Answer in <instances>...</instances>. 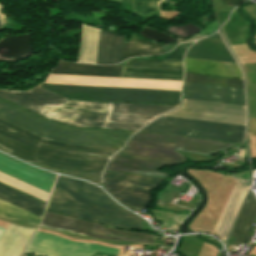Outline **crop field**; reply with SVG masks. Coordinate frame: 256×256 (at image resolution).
<instances>
[{"label": "crop field", "instance_id": "obj_1", "mask_svg": "<svg viewBox=\"0 0 256 256\" xmlns=\"http://www.w3.org/2000/svg\"><path fill=\"white\" fill-rule=\"evenodd\" d=\"M10 101L50 120L83 128L139 130L170 106L70 101L40 86L28 91H0Z\"/></svg>", "mask_w": 256, "mask_h": 256}, {"label": "crop field", "instance_id": "obj_2", "mask_svg": "<svg viewBox=\"0 0 256 256\" xmlns=\"http://www.w3.org/2000/svg\"><path fill=\"white\" fill-rule=\"evenodd\" d=\"M119 149L71 146L41 138L0 120V150L95 183H101L105 164Z\"/></svg>", "mask_w": 256, "mask_h": 256}, {"label": "crop field", "instance_id": "obj_3", "mask_svg": "<svg viewBox=\"0 0 256 256\" xmlns=\"http://www.w3.org/2000/svg\"><path fill=\"white\" fill-rule=\"evenodd\" d=\"M233 145L235 144L136 133L112 158L106 170L167 177L169 173L158 169L187 160L178 151L210 155Z\"/></svg>", "mask_w": 256, "mask_h": 256}, {"label": "crop field", "instance_id": "obj_4", "mask_svg": "<svg viewBox=\"0 0 256 256\" xmlns=\"http://www.w3.org/2000/svg\"><path fill=\"white\" fill-rule=\"evenodd\" d=\"M165 117L245 126V107L187 101ZM161 117L141 129L144 132L241 142L245 127Z\"/></svg>", "mask_w": 256, "mask_h": 256}, {"label": "crop field", "instance_id": "obj_5", "mask_svg": "<svg viewBox=\"0 0 256 256\" xmlns=\"http://www.w3.org/2000/svg\"><path fill=\"white\" fill-rule=\"evenodd\" d=\"M48 78L182 85V82L50 74ZM47 79L44 83L181 91L182 86ZM41 84L70 99L179 105L180 92Z\"/></svg>", "mask_w": 256, "mask_h": 256}, {"label": "crop field", "instance_id": "obj_6", "mask_svg": "<svg viewBox=\"0 0 256 256\" xmlns=\"http://www.w3.org/2000/svg\"><path fill=\"white\" fill-rule=\"evenodd\" d=\"M47 210L127 229L141 219L113 202L93 184L59 176Z\"/></svg>", "mask_w": 256, "mask_h": 256}, {"label": "crop field", "instance_id": "obj_7", "mask_svg": "<svg viewBox=\"0 0 256 256\" xmlns=\"http://www.w3.org/2000/svg\"><path fill=\"white\" fill-rule=\"evenodd\" d=\"M0 119L41 137L71 145L122 147L128 137L135 133L76 129L52 123L1 99Z\"/></svg>", "mask_w": 256, "mask_h": 256}, {"label": "crop field", "instance_id": "obj_8", "mask_svg": "<svg viewBox=\"0 0 256 256\" xmlns=\"http://www.w3.org/2000/svg\"><path fill=\"white\" fill-rule=\"evenodd\" d=\"M186 57L236 63L219 34L198 41ZM185 58V72L243 78L237 64Z\"/></svg>", "mask_w": 256, "mask_h": 256}, {"label": "crop field", "instance_id": "obj_9", "mask_svg": "<svg viewBox=\"0 0 256 256\" xmlns=\"http://www.w3.org/2000/svg\"><path fill=\"white\" fill-rule=\"evenodd\" d=\"M164 179L134 176L126 174H103L106 190L120 203L138 208H147L150 200L149 192L161 184Z\"/></svg>", "mask_w": 256, "mask_h": 256}, {"label": "crop field", "instance_id": "obj_10", "mask_svg": "<svg viewBox=\"0 0 256 256\" xmlns=\"http://www.w3.org/2000/svg\"><path fill=\"white\" fill-rule=\"evenodd\" d=\"M193 43L178 46L164 61L131 60L125 63L121 77L182 80L183 54Z\"/></svg>", "mask_w": 256, "mask_h": 256}, {"label": "crop field", "instance_id": "obj_11", "mask_svg": "<svg viewBox=\"0 0 256 256\" xmlns=\"http://www.w3.org/2000/svg\"><path fill=\"white\" fill-rule=\"evenodd\" d=\"M41 227L73 232L78 234H83L95 238L107 239V240H121V241H138V242H149L154 243L153 240H141V239H133V238H123L116 236H107L101 234H115V235H123V236H133V237H142V238H150L153 239V235L147 233L140 232H132V231H124V230H116L105 228L103 225L51 213L45 212ZM101 233V234H98Z\"/></svg>", "mask_w": 256, "mask_h": 256}, {"label": "crop field", "instance_id": "obj_12", "mask_svg": "<svg viewBox=\"0 0 256 256\" xmlns=\"http://www.w3.org/2000/svg\"><path fill=\"white\" fill-rule=\"evenodd\" d=\"M97 251L118 254L119 249L105 246L72 242L57 235L37 231L25 252L41 256H93Z\"/></svg>", "mask_w": 256, "mask_h": 256}, {"label": "crop field", "instance_id": "obj_13", "mask_svg": "<svg viewBox=\"0 0 256 256\" xmlns=\"http://www.w3.org/2000/svg\"><path fill=\"white\" fill-rule=\"evenodd\" d=\"M184 99L245 106L244 89L185 83Z\"/></svg>", "mask_w": 256, "mask_h": 256}, {"label": "crop field", "instance_id": "obj_14", "mask_svg": "<svg viewBox=\"0 0 256 256\" xmlns=\"http://www.w3.org/2000/svg\"><path fill=\"white\" fill-rule=\"evenodd\" d=\"M0 171L48 193L55 180L54 175L46 174L44 171L32 168L2 154H0Z\"/></svg>", "mask_w": 256, "mask_h": 256}, {"label": "crop field", "instance_id": "obj_15", "mask_svg": "<svg viewBox=\"0 0 256 256\" xmlns=\"http://www.w3.org/2000/svg\"><path fill=\"white\" fill-rule=\"evenodd\" d=\"M248 188L242 183L235 181L221 214L211 234L219 237L222 242L236 217L240 205L246 195Z\"/></svg>", "mask_w": 256, "mask_h": 256}, {"label": "crop field", "instance_id": "obj_16", "mask_svg": "<svg viewBox=\"0 0 256 256\" xmlns=\"http://www.w3.org/2000/svg\"><path fill=\"white\" fill-rule=\"evenodd\" d=\"M34 230L10 223L0 239V256H19Z\"/></svg>", "mask_w": 256, "mask_h": 256}, {"label": "crop field", "instance_id": "obj_17", "mask_svg": "<svg viewBox=\"0 0 256 256\" xmlns=\"http://www.w3.org/2000/svg\"><path fill=\"white\" fill-rule=\"evenodd\" d=\"M123 39L122 35L101 30L96 64L119 63Z\"/></svg>", "mask_w": 256, "mask_h": 256}, {"label": "crop field", "instance_id": "obj_18", "mask_svg": "<svg viewBox=\"0 0 256 256\" xmlns=\"http://www.w3.org/2000/svg\"><path fill=\"white\" fill-rule=\"evenodd\" d=\"M122 66H93L59 62L52 73L119 77Z\"/></svg>", "mask_w": 256, "mask_h": 256}, {"label": "crop field", "instance_id": "obj_19", "mask_svg": "<svg viewBox=\"0 0 256 256\" xmlns=\"http://www.w3.org/2000/svg\"><path fill=\"white\" fill-rule=\"evenodd\" d=\"M256 215V199L251 192L248 196L231 236L236 238L233 245L245 243Z\"/></svg>", "mask_w": 256, "mask_h": 256}, {"label": "crop field", "instance_id": "obj_20", "mask_svg": "<svg viewBox=\"0 0 256 256\" xmlns=\"http://www.w3.org/2000/svg\"><path fill=\"white\" fill-rule=\"evenodd\" d=\"M177 45V43L168 45L154 44L148 40L125 42L121 61L130 57L161 54L172 50Z\"/></svg>", "mask_w": 256, "mask_h": 256}, {"label": "crop field", "instance_id": "obj_21", "mask_svg": "<svg viewBox=\"0 0 256 256\" xmlns=\"http://www.w3.org/2000/svg\"><path fill=\"white\" fill-rule=\"evenodd\" d=\"M100 30L82 24V38L77 62L95 64Z\"/></svg>", "mask_w": 256, "mask_h": 256}, {"label": "crop field", "instance_id": "obj_22", "mask_svg": "<svg viewBox=\"0 0 256 256\" xmlns=\"http://www.w3.org/2000/svg\"><path fill=\"white\" fill-rule=\"evenodd\" d=\"M0 199H3L40 217L42 216L45 206L36 200H33L2 185H0Z\"/></svg>", "mask_w": 256, "mask_h": 256}, {"label": "crop field", "instance_id": "obj_23", "mask_svg": "<svg viewBox=\"0 0 256 256\" xmlns=\"http://www.w3.org/2000/svg\"><path fill=\"white\" fill-rule=\"evenodd\" d=\"M0 215L9 219L19 220L34 225H38L41 219L40 217L11 205L3 200H0Z\"/></svg>", "mask_w": 256, "mask_h": 256}, {"label": "crop field", "instance_id": "obj_24", "mask_svg": "<svg viewBox=\"0 0 256 256\" xmlns=\"http://www.w3.org/2000/svg\"><path fill=\"white\" fill-rule=\"evenodd\" d=\"M185 81L244 88L243 80L239 79L185 74Z\"/></svg>", "mask_w": 256, "mask_h": 256}, {"label": "crop field", "instance_id": "obj_25", "mask_svg": "<svg viewBox=\"0 0 256 256\" xmlns=\"http://www.w3.org/2000/svg\"><path fill=\"white\" fill-rule=\"evenodd\" d=\"M159 0H133L134 10L136 13L148 16L159 10Z\"/></svg>", "mask_w": 256, "mask_h": 256}, {"label": "crop field", "instance_id": "obj_26", "mask_svg": "<svg viewBox=\"0 0 256 256\" xmlns=\"http://www.w3.org/2000/svg\"><path fill=\"white\" fill-rule=\"evenodd\" d=\"M221 1L231 7L234 4L238 6L246 0H221Z\"/></svg>", "mask_w": 256, "mask_h": 256}, {"label": "crop field", "instance_id": "obj_27", "mask_svg": "<svg viewBox=\"0 0 256 256\" xmlns=\"http://www.w3.org/2000/svg\"><path fill=\"white\" fill-rule=\"evenodd\" d=\"M205 36H199V35H196L192 38H190L189 40L185 41V42H188V41H195V40H198V39H201V38H204Z\"/></svg>", "mask_w": 256, "mask_h": 256}, {"label": "crop field", "instance_id": "obj_28", "mask_svg": "<svg viewBox=\"0 0 256 256\" xmlns=\"http://www.w3.org/2000/svg\"><path fill=\"white\" fill-rule=\"evenodd\" d=\"M2 23H1V19H0V27H1Z\"/></svg>", "mask_w": 256, "mask_h": 256}]
</instances>
